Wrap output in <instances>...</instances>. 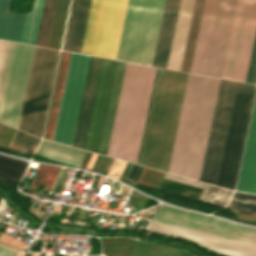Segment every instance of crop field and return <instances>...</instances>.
Segmentation results:
<instances>
[{
    "mask_svg": "<svg viewBox=\"0 0 256 256\" xmlns=\"http://www.w3.org/2000/svg\"><path fill=\"white\" fill-rule=\"evenodd\" d=\"M89 56L72 53L53 141L71 144ZM102 59L91 57L71 146L82 149ZM126 63L103 59L83 149L107 153Z\"/></svg>",
    "mask_w": 256,
    "mask_h": 256,
    "instance_id": "crop-field-1",
    "label": "crop field"
},
{
    "mask_svg": "<svg viewBox=\"0 0 256 256\" xmlns=\"http://www.w3.org/2000/svg\"><path fill=\"white\" fill-rule=\"evenodd\" d=\"M219 82L189 74L169 173L199 178Z\"/></svg>",
    "mask_w": 256,
    "mask_h": 256,
    "instance_id": "crop-field-2",
    "label": "crop field"
},
{
    "mask_svg": "<svg viewBox=\"0 0 256 256\" xmlns=\"http://www.w3.org/2000/svg\"><path fill=\"white\" fill-rule=\"evenodd\" d=\"M210 217L161 205L152 220L256 246V228ZM154 221L148 230L187 239L226 256H256L255 246Z\"/></svg>",
    "mask_w": 256,
    "mask_h": 256,
    "instance_id": "crop-field-3",
    "label": "crop field"
},
{
    "mask_svg": "<svg viewBox=\"0 0 256 256\" xmlns=\"http://www.w3.org/2000/svg\"><path fill=\"white\" fill-rule=\"evenodd\" d=\"M91 0H72L62 49L80 53ZM127 0H92L81 53L115 59Z\"/></svg>",
    "mask_w": 256,
    "mask_h": 256,
    "instance_id": "crop-field-4",
    "label": "crop field"
},
{
    "mask_svg": "<svg viewBox=\"0 0 256 256\" xmlns=\"http://www.w3.org/2000/svg\"><path fill=\"white\" fill-rule=\"evenodd\" d=\"M128 65V63H127ZM127 65L125 69V74L127 70ZM157 68L131 64L128 65V70L124 74V79L122 83L121 93L119 97L118 107L116 111L115 121L113 125L112 135L110 139L108 153L110 157L133 161L137 164L139 152L141 148L146 118L148 114L153 84L155 80Z\"/></svg>",
    "mask_w": 256,
    "mask_h": 256,
    "instance_id": "crop-field-5",
    "label": "crop field"
},
{
    "mask_svg": "<svg viewBox=\"0 0 256 256\" xmlns=\"http://www.w3.org/2000/svg\"><path fill=\"white\" fill-rule=\"evenodd\" d=\"M187 76L159 69L139 164L167 172Z\"/></svg>",
    "mask_w": 256,
    "mask_h": 256,
    "instance_id": "crop-field-6",
    "label": "crop field"
},
{
    "mask_svg": "<svg viewBox=\"0 0 256 256\" xmlns=\"http://www.w3.org/2000/svg\"><path fill=\"white\" fill-rule=\"evenodd\" d=\"M165 0H128L116 59L152 66Z\"/></svg>",
    "mask_w": 256,
    "mask_h": 256,
    "instance_id": "crop-field-7",
    "label": "crop field"
},
{
    "mask_svg": "<svg viewBox=\"0 0 256 256\" xmlns=\"http://www.w3.org/2000/svg\"><path fill=\"white\" fill-rule=\"evenodd\" d=\"M218 0H205L190 72L203 73ZM237 0H219L203 75L221 76Z\"/></svg>",
    "mask_w": 256,
    "mask_h": 256,
    "instance_id": "crop-field-8",
    "label": "crop field"
},
{
    "mask_svg": "<svg viewBox=\"0 0 256 256\" xmlns=\"http://www.w3.org/2000/svg\"><path fill=\"white\" fill-rule=\"evenodd\" d=\"M59 51L36 47L18 128L41 138Z\"/></svg>",
    "mask_w": 256,
    "mask_h": 256,
    "instance_id": "crop-field-9",
    "label": "crop field"
},
{
    "mask_svg": "<svg viewBox=\"0 0 256 256\" xmlns=\"http://www.w3.org/2000/svg\"><path fill=\"white\" fill-rule=\"evenodd\" d=\"M256 86L237 83L215 185L235 188Z\"/></svg>",
    "mask_w": 256,
    "mask_h": 256,
    "instance_id": "crop-field-10",
    "label": "crop field"
},
{
    "mask_svg": "<svg viewBox=\"0 0 256 256\" xmlns=\"http://www.w3.org/2000/svg\"><path fill=\"white\" fill-rule=\"evenodd\" d=\"M35 47L8 44L0 82V121L17 128Z\"/></svg>",
    "mask_w": 256,
    "mask_h": 256,
    "instance_id": "crop-field-11",
    "label": "crop field"
},
{
    "mask_svg": "<svg viewBox=\"0 0 256 256\" xmlns=\"http://www.w3.org/2000/svg\"><path fill=\"white\" fill-rule=\"evenodd\" d=\"M195 0H166L153 66L166 68L175 28L173 43L167 68L180 71L186 45L193 5Z\"/></svg>",
    "mask_w": 256,
    "mask_h": 256,
    "instance_id": "crop-field-12",
    "label": "crop field"
},
{
    "mask_svg": "<svg viewBox=\"0 0 256 256\" xmlns=\"http://www.w3.org/2000/svg\"><path fill=\"white\" fill-rule=\"evenodd\" d=\"M256 29V0H238L221 78L244 82Z\"/></svg>",
    "mask_w": 256,
    "mask_h": 256,
    "instance_id": "crop-field-13",
    "label": "crop field"
},
{
    "mask_svg": "<svg viewBox=\"0 0 256 256\" xmlns=\"http://www.w3.org/2000/svg\"><path fill=\"white\" fill-rule=\"evenodd\" d=\"M236 83L221 80L200 181L215 183Z\"/></svg>",
    "mask_w": 256,
    "mask_h": 256,
    "instance_id": "crop-field-14",
    "label": "crop field"
},
{
    "mask_svg": "<svg viewBox=\"0 0 256 256\" xmlns=\"http://www.w3.org/2000/svg\"><path fill=\"white\" fill-rule=\"evenodd\" d=\"M236 190L256 193V98Z\"/></svg>",
    "mask_w": 256,
    "mask_h": 256,
    "instance_id": "crop-field-15",
    "label": "crop field"
},
{
    "mask_svg": "<svg viewBox=\"0 0 256 256\" xmlns=\"http://www.w3.org/2000/svg\"><path fill=\"white\" fill-rule=\"evenodd\" d=\"M11 0H0V38L21 40L26 14L8 13Z\"/></svg>",
    "mask_w": 256,
    "mask_h": 256,
    "instance_id": "crop-field-16",
    "label": "crop field"
},
{
    "mask_svg": "<svg viewBox=\"0 0 256 256\" xmlns=\"http://www.w3.org/2000/svg\"><path fill=\"white\" fill-rule=\"evenodd\" d=\"M36 154L79 167L86 151L43 140Z\"/></svg>",
    "mask_w": 256,
    "mask_h": 256,
    "instance_id": "crop-field-17",
    "label": "crop field"
},
{
    "mask_svg": "<svg viewBox=\"0 0 256 256\" xmlns=\"http://www.w3.org/2000/svg\"><path fill=\"white\" fill-rule=\"evenodd\" d=\"M204 0H196L181 71L189 72Z\"/></svg>",
    "mask_w": 256,
    "mask_h": 256,
    "instance_id": "crop-field-18",
    "label": "crop field"
},
{
    "mask_svg": "<svg viewBox=\"0 0 256 256\" xmlns=\"http://www.w3.org/2000/svg\"><path fill=\"white\" fill-rule=\"evenodd\" d=\"M129 256H195V255L185 250L136 241Z\"/></svg>",
    "mask_w": 256,
    "mask_h": 256,
    "instance_id": "crop-field-19",
    "label": "crop field"
},
{
    "mask_svg": "<svg viewBox=\"0 0 256 256\" xmlns=\"http://www.w3.org/2000/svg\"><path fill=\"white\" fill-rule=\"evenodd\" d=\"M43 5L44 0H34L32 12L26 16L21 42L35 45Z\"/></svg>",
    "mask_w": 256,
    "mask_h": 256,
    "instance_id": "crop-field-20",
    "label": "crop field"
},
{
    "mask_svg": "<svg viewBox=\"0 0 256 256\" xmlns=\"http://www.w3.org/2000/svg\"><path fill=\"white\" fill-rule=\"evenodd\" d=\"M27 163L0 155V179L19 183Z\"/></svg>",
    "mask_w": 256,
    "mask_h": 256,
    "instance_id": "crop-field-21",
    "label": "crop field"
},
{
    "mask_svg": "<svg viewBox=\"0 0 256 256\" xmlns=\"http://www.w3.org/2000/svg\"><path fill=\"white\" fill-rule=\"evenodd\" d=\"M57 0H46L36 45L47 47Z\"/></svg>",
    "mask_w": 256,
    "mask_h": 256,
    "instance_id": "crop-field-22",
    "label": "crop field"
},
{
    "mask_svg": "<svg viewBox=\"0 0 256 256\" xmlns=\"http://www.w3.org/2000/svg\"><path fill=\"white\" fill-rule=\"evenodd\" d=\"M228 208L233 213L256 216V195L235 192Z\"/></svg>",
    "mask_w": 256,
    "mask_h": 256,
    "instance_id": "crop-field-23",
    "label": "crop field"
},
{
    "mask_svg": "<svg viewBox=\"0 0 256 256\" xmlns=\"http://www.w3.org/2000/svg\"><path fill=\"white\" fill-rule=\"evenodd\" d=\"M160 189L168 190L171 192L179 193L193 198H199L202 188L194 187L191 185L183 184L169 179H163Z\"/></svg>",
    "mask_w": 256,
    "mask_h": 256,
    "instance_id": "crop-field-24",
    "label": "crop field"
},
{
    "mask_svg": "<svg viewBox=\"0 0 256 256\" xmlns=\"http://www.w3.org/2000/svg\"><path fill=\"white\" fill-rule=\"evenodd\" d=\"M40 139L18 131L10 149L32 154L34 153Z\"/></svg>",
    "mask_w": 256,
    "mask_h": 256,
    "instance_id": "crop-field-25",
    "label": "crop field"
},
{
    "mask_svg": "<svg viewBox=\"0 0 256 256\" xmlns=\"http://www.w3.org/2000/svg\"><path fill=\"white\" fill-rule=\"evenodd\" d=\"M232 193L233 191L210 185L203 198V201L219 204L225 207Z\"/></svg>",
    "mask_w": 256,
    "mask_h": 256,
    "instance_id": "crop-field-26",
    "label": "crop field"
},
{
    "mask_svg": "<svg viewBox=\"0 0 256 256\" xmlns=\"http://www.w3.org/2000/svg\"><path fill=\"white\" fill-rule=\"evenodd\" d=\"M255 67H256V34H255V39H254V43H253V48H252V52H251V57H250V62H249L245 82L252 83L254 72H255Z\"/></svg>",
    "mask_w": 256,
    "mask_h": 256,
    "instance_id": "crop-field-27",
    "label": "crop field"
},
{
    "mask_svg": "<svg viewBox=\"0 0 256 256\" xmlns=\"http://www.w3.org/2000/svg\"><path fill=\"white\" fill-rule=\"evenodd\" d=\"M164 177L169 178V179H173V180H176V181L184 182V183H187V184H191V185H194V186L202 187V188H204V186H205V183H201V182L196 183V182H194V180L182 178V177L167 174V173L165 174Z\"/></svg>",
    "mask_w": 256,
    "mask_h": 256,
    "instance_id": "crop-field-28",
    "label": "crop field"
},
{
    "mask_svg": "<svg viewBox=\"0 0 256 256\" xmlns=\"http://www.w3.org/2000/svg\"><path fill=\"white\" fill-rule=\"evenodd\" d=\"M7 44L8 42L0 41V78H1L2 68H3L4 58L6 54Z\"/></svg>",
    "mask_w": 256,
    "mask_h": 256,
    "instance_id": "crop-field-29",
    "label": "crop field"
},
{
    "mask_svg": "<svg viewBox=\"0 0 256 256\" xmlns=\"http://www.w3.org/2000/svg\"><path fill=\"white\" fill-rule=\"evenodd\" d=\"M15 252L0 247V256H14Z\"/></svg>",
    "mask_w": 256,
    "mask_h": 256,
    "instance_id": "crop-field-30",
    "label": "crop field"
},
{
    "mask_svg": "<svg viewBox=\"0 0 256 256\" xmlns=\"http://www.w3.org/2000/svg\"><path fill=\"white\" fill-rule=\"evenodd\" d=\"M143 169H144L143 167L139 166V168H138V170H137V172H136V174H135V176H134V178L132 180L133 183H137L138 182Z\"/></svg>",
    "mask_w": 256,
    "mask_h": 256,
    "instance_id": "crop-field-31",
    "label": "crop field"
},
{
    "mask_svg": "<svg viewBox=\"0 0 256 256\" xmlns=\"http://www.w3.org/2000/svg\"><path fill=\"white\" fill-rule=\"evenodd\" d=\"M91 155H92L91 153H89V152L87 153V155H86V157H85V159H84V161H83L81 167H83V168L86 167V165H87V163H88V161H89Z\"/></svg>",
    "mask_w": 256,
    "mask_h": 256,
    "instance_id": "crop-field-32",
    "label": "crop field"
},
{
    "mask_svg": "<svg viewBox=\"0 0 256 256\" xmlns=\"http://www.w3.org/2000/svg\"><path fill=\"white\" fill-rule=\"evenodd\" d=\"M137 168H138V166H136V165L133 166V168H132V170H131V172H130L128 178H130V179L133 178V176H134V174H135Z\"/></svg>",
    "mask_w": 256,
    "mask_h": 256,
    "instance_id": "crop-field-33",
    "label": "crop field"
},
{
    "mask_svg": "<svg viewBox=\"0 0 256 256\" xmlns=\"http://www.w3.org/2000/svg\"><path fill=\"white\" fill-rule=\"evenodd\" d=\"M253 83H255V84H256V72H255V77H254V81H253Z\"/></svg>",
    "mask_w": 256,
    "mask_h": 256,
    "instance_id": "crop-field-34",
    "label": "crop field"
},
{
    "mask_svg": "<svg viewBox=\"0 0 256 256\" xmlns=\"http://www.w3.org/2000/svg\"><path fill=\"white\" fill-rule=\"evenodd\" d=\"M24 256H30V255H27V253H25V255ZM32 256V255H31Z\"/></svg>",
    "mask_w": 256,
    "mask_h": 256,
    "instance_id": "crop-field-35",
    "label": "crop field"
}]
</instances>
